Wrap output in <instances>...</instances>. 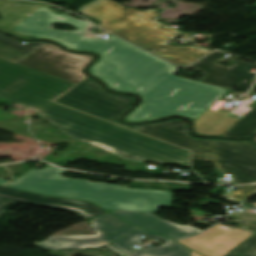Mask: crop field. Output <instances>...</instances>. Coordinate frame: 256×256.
Here are the masks:
<instances>
[{"instance_id":"8a807250","label":"crop field","mask_w":256,"mask_h":256,"mask_svg":"<svg viewBox=\"0 0 256 256\" xmlns=\"http://www.w3.org/2000/svg\"><path fill=\"white\" fill-rule=\"evenodd\" d=\"M0 29L24 38L52 39L74 50L99 53L89 72L111 90L140 94L142 103L126 121L181 115L196 119L228 90L173 76L177 67L111 34L107 40L86 39L88 23L75 20L45 3L0 0ZM65 23L77 31L51 29Z\"/></svg>"},{"instance_id":"ac0d7876","label":"crop field","mask_w":256,"mask_h":256,"mask_svg":"<svg viewBox=\"0 0 256 256\" xmlns=\"http://www.w3.org/2000/svg\"><path fill=\"white\" fill-rule=\"evenodd\" d=\"M38 114L71 138L82 139L124 159L186 166L190 153L183 149L85 115L51 102Z\"/></svg>"},{"instance_id":"34b2d1b8","label":"crop field","mask_w":256,"mask_h":256,"mask_svg":"<svg viewBox=\"0 0 256 256\" xmlns=\"http://www.w3.org/2000/svg\"><path fill=\"white\" fill-rule=\"evenodd\" d=\"M65 171L48 165L43 170L29 171L8 186L45 195L82 198L109 211L121 209L153 212L158 211V206L171 205L170 192L132 189L64 178L61 175Z\"/></svg>"},{"instance_id":"412701ff","label":"crop field","mask_w":256,"mask_h":256,"mask_svg":"<svg viewBox=\"0 0 256 256\" xmlns=\"http://www.w3.org/2000/svg\"><path fill=\"white\" fill-rule=\"evenodd\" d=\"M78 10L102 22L99 26L180 66L189 65L211 52L198 47L166 44L182 33L156 22L155 9L139 11L123 7L113 0H96Z\"/></svg>"},{"instance_id":"f4fd0767","label":"crop field","mask_w":256,"mask_h":256,"mask_svg":"<svg viewBox=\"0 0 256 256\" xmlns=\"http://www.w3.org/2000/svg\"><path fill=\"white\" fill-rule=\"evenodd\" d=\"M140 131L193 150V157L213 161L237 184L256 182V146L250 141L198 140L188 135L181 120L139 125Z\"/></svg>"},{"instance_id":"dd49c442","label":"crop field","mask_w":256,"mask_h":256,"mask_svg":"<svg viewBox=\"0 0 256 256\" xmlns=\"http://www.w3.org/2000/svg\"><path fill=\"white\" fill-rule=\"evenodd\" d=\"M73 86L56 78L0 60V98L32 110H40Z\"/></svg>"},{"instance_id":"e52e79f7","label":"crop field","mask_w":256,"mask_h":256,"mask_svg":"<svg viewBox=\"0 0 256 256\" xmlns=\"http://www.w3.org/2000/svg\"><path fill=\"white\" fill-rule=\"evenodd\" d=\"M133 97L110 94L88 78L56 102L119 124L118 116L132 106ZM139 132L138 125L124 126Z\"/></svg>"},{"instance_id":"d8731c3e","label":"crop field","mask_w":256,"mask_h":256,"mask_svg":"<svg viewBox=\"0 0 256 256\" xmlns=\"http://www.w3.org/2000/svg\"><path fill=\"white\" fill-rule=\"evenodd\" d=\"M92 58L70 54L47 43L17 64L78 84L87 78L81 70Z\"/></svg>"},{"instance_id":"5a996713","label":"crop field","mask_w":256,"mask_h":256,"mask_svg":"<svg viewBox=\"0 0 256 256\" xmlns=\"http://www.w3.org/2000/svg\"><path fill=\"white\" fill-rule=\"evenodd\" d=\"M91 221L92 227L96 230V235L50 236L46 241L35 244L43 249L84 248L105 245L116 253L123 255L122 252L109 243L138 228L125 223L109 213L94 218Z\"/></svg>"},{"instance_id":"3316defc","label":"crop field","mask_w":256,"mask_h":256,"mask_svg":"<svg viewBox=\"0 0 256 256\" xmlns=\"http://www.w3.org/2000/svg\"><path fill=\"white\" fill-rule=\"evenodd\" d=\"M252 234L254 233L242 225L239 230H231L218 224L196 237L178 241L206 256H224Z\"/></svg>"},{"instance_id":"28ad6ade","label":"crop field","mask_w":256,"mask_h":256,"mask_svg":"<svg viewBox=\"0 0 256 256\" xmlns=\"http://www.w3.org/2000/svg\"><path fill=\"white\" fill-rule=\"evenodd\" d=\"M12 202H24L63 208L73 211L84 218L97 217L107 213V211L101 207L86 201L36 195L0 186V216L6 212L3 210V207Z\"/></svg>"},{"instance_id":"d1516ede","label":"crop field","mask_w":256,"mask_h":256,"mask_svg":"<svg viewBox=\"0 0 256 256\" xmlns=\"http://www.w3.org/2000/svg\"><path fill=\"white\" fill-rule=\"evenodd\" d=\"M225 56L224 53L214 52L209 56L205 57L201 61L189 66L192 68L199 69L203 72H207L205 79L201 82L224 87L231 89L238 83H242L244 80L251 85L256 74L248 72L254 65L235 62L228 67H223L217 63L215 60Z\"/></svg>"},{"instance_id":"22f410ed","label":"crop field","mask_w":256,"mask_h":256,"mask_svg":"<svg viewBox=\"0 0 256 256\" xmlns=\"http://www.w3.org/2000/svg\"><path fill=\"white\" fill-rule=\"evenodd\" d=\"M111 212L125 221L134 223L142 228L160 232L173 239L189 236L187 226H181L167 220L159 219L149 213L120 210H113Z\"/></svg>"},{"instance_id":"cbeb9de0","label":"crop field","mask_w":256,"mask_h":256,"mask_svg":"<svg viewBox=\"0 0 256 256\" xmlns=\"http://www.w3.org/2000/svg\"><path fill=\"white\" fill-rule=\"evenodd\" d=\"M12 39L0 34V57L16 63L28 54L32 53L46 42H27Z\"/></svg>"},{"instance_id":"5142ce71","label":"crop field","mask_w":256,"mask_h":256,"mask_svg":"<svg viewBox=\"0 0 256 256\" xmlns=\"http://www.w3.org/2000/svg\"><path fill=\"white\" fill-rule=\"evenodd\" d=\"M127 256H190V250L177 242L134 251Z\"/></svg>"},{"instance_id":"d9b57169","label":"crop field","mask_w":256,"mask_h":256,"mask_svg":"<svg viewBox=\"0 0 256 256\" xmlns=\"http://www.w3.org/2000/svg\"><path fill=\"white\" fill-rule=\"evenodd\" d=\"M251 92L256 93V83ZM256 132V106L237 122L224 136L245 137Z\"/></svg>"},{"instance_id":"733c2abd","label":"crop field","mask_w":256,"mask_h":256,"mask_svg":"<svg viewBox=\"0 0 256 256\" xmlns=\"http://www.w3.org/2000/svg\"><path fill=\"white\" fill-rule=\"evenodd\" d=\"M143 234L151 236L153 238H158L163 241L171 240V239H169L165 236H162L158 233L139 228L136 231H134L133 233L129 234L128 236H126V237L124 236L125 238L122 237L123 239L113 243L112 245L127 253V252L135 249L134 247H132L133 245L141 244L140 237Z\"/></svg>"},{"instance_id":"4a817a6b","label":"crop field","mask_w":256,"mask_h":256,"mask_svg":"<svg viewBox=\"0 0 256 256\" xmlns=\"http://www.w3.org/2000/svg\"><path fill=\"white\" fill-rule=\"evenodd\" d=\"M236 192H229L222 197L232 203H241L246 199L252 192L256 190V185L251 186H238Z\"/></svg>"},{"instance_id":"bc2a9ffb","label":"crop field","mask_w":256,"mask_h":256,"mask_svg":"<svg viewBox=\"0 0 256 256\" xmlns=\"http://www.w3.org/2000/svg\"><path fill=\"white\" fill-rule=\"evenodd\" d=\"M256 246V235L248 239L242 245L237 247L235 250L230 252L226 256H256V253L253 255H247L249 251H251Z\"/></svg>"},{"instance_id":"214f88e0","label":"crop field","mask_w":256,"mask_h":256,"mask_svg":"<svg viewBox=\"0 0 256 256\" xmlns=\"http://www.w3.org/2000/svg\"><path fill=\"white\" fill-rule=\"evenodd\" d=\"M188 228H189L190 235H194V234L201 232V230H199L197 228H193V227H189V226H188Z\"/></svg>"},{"instance_id":"92a150f3","label":"crop field","mask_w":256,"mask_h":256,"mask_svg":"<svg viewBox=\"0 0 256 256\" xmlns=\"http://www.w3.org/2000/svg\"><path fill=\"white\" fill-rule=\"evenodd\" d=\"M8 182H9V180L0 178V184L5 185V184L8 183ZM6 185H7V184H6Z\"/></svg>"},{"instance_id":"dafd665d","label":"crop field","mask_w":256,"mask_h":256,"mask_svg":"<svg viewBox=\"0 0 256 256\" xmlns=\"http://www.w3.org/2000/svg\"><path fill=\"white\" fill-rule=\"evenodd\" d=\"M191 256H201V255H199V254L194 253V252L191 251Z\"/></svg>"},{"instance_id":"00972430","label":"crop field","mask_w":256,"mask_h":256,"mask_svg":"<svg viewBox=\"0 0 256 256\" xmlns=\"http://www.w3.org/2000/svg\"><path fill=\"white\" fill-rule=\"evenodd\" d=\"M256 247L251 251V252H249L248 254H253V253H255L256 251Z\"/></svg>"},{"instance_id":"a9b5d70f","label":"crop field","mask_w":256,"mask_h":256,"mask_svg":"<svg viewBox=\"0 0 256 256\" xmlns=\"http://www.w3.org/2000/svg\"><path fill=\"white\" fill-rule=\"evenodd\" d=\"M252 141H254L256 143V137H254L253 139H251Z\"/></svg>"},{"instance_id":"4177f3b9","label":"crop field","mask_w":256,"mask_h":256,"mask_svg":"<svg viewBox=\"0 0 256 256\" xmlns=\"http://www.w3.org/2000/svg\"><path fill=\"white\" fill-rule=\"evenodd\" d=\"M253 5H256V3H254Z\"/></svg>"}]
</instances>
